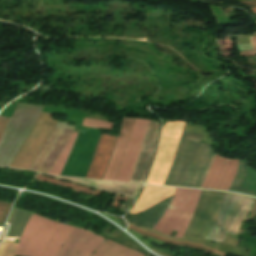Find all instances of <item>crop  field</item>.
<instances>
[{
    "label": "crop field",
    "instance_id": "obj_8",
    "mask_svg": "<svg viewBox=\"0 0 256 256\" xmlns=\"http://www.w3.org/2000/svg\"><path fill=\"white\" fill-rule=\"evenodd\" d=\"M103 240L104 237L76 228L57 256H91Z\"/></svg>",
    "mask_w": 256,
    "mask_h": 256
},
{
    "label": "crop field",
    "instance_id": "obj_16",
    "mask_svg": "<svg viewBox=\"0 0 256 256\" xmlns=\"http://www.w3.org/2000/svg\"><path fill=\"white\" fill-rule=\"evenodd\" d=\"M112 125L113 124L107 123L105 121L89 119V118H85L82 123V126L105 129V130H111Z\"/></svg>",
    "mask_w": 256,
    "mask_h": 256
},
{
    "label": "crop field",
    "instance_id": "obj_3",
    "mask_svg": "<svg viewBox=\"0 0 256 256\" xmlns=\"http://www.w3.org/2000/svg\"><path fill=\"white\" fill-rule=\"evenodd\" d=\"M184 124L185 123L181 122H167L163 127L158 154L148 179V184H163L170 168Z\"/></svg>",
    "mask_w": 256,
    "mask_h": 256
},
{
    "label": "crop field",
    "instance_id": "obj_11",
    "mask_svg": "<svg viewBox=\"0 0 256 256\" xmlns=\"http://www.w3.org/2000/svg\"><path fill=\"white\" fill-rule=\"evenodd\" d=\"M176 188L146 186L130 214H137L174 194Z\"/></svg>",
    "mask_w": 256,
    "mask_h": 256
},
{
    "label": "crop field",
    "instance_id": "obj_6",
    "mask_svg": "<svg viewBox=\"0 0 256 256\" xmlns=\"http://www.w3.org/2000/svg\"><path fill=\"white\" fill-rule=\"evenodd\" d=\"M238 161L216 155L200 188L228 190L235 178Z\"/></svg>",
    "mask_w": 256,
    "mask_h": 256
},
{
    "label": "crop field",
    "instance_id": "obj_21",
    "mask_svg": "<svg viewBox=\"0 0 256 256\" xmlns=\"http://www.w3.org/2000/svg\"><path fill=\"white\" fill-rule=\"evenodd\" d=\"M253 49H256V36L251 37Z\"/></svg>",
    "mask_w": 256,
    "mask_h": 256
},
{
    "label": "crop field",
    "instance_id": "obj_15",
    "mask_svg": "<svg viewBox=\"0 0 256 256\" xmlns=\"http://www.w3.org/2000/svg\"><path fill=\"white\" fill-rule=\"evenodd\" d=\"M36 179L51 182V183H54V184H57V185H60V186L66 187V188H70V189H73V190H76V191L93 194V195H96V196H101V194H102L101 191H96V190L83 188V187H80V186H77V185H74V184L66 183V182H63V181H59V180H56V179H52V178H48V177H44V176H40V175H37Z\"/></svg>",
    "mask_w": 256,
    "mask_h": 256
},
{
    "label": "crop field",
    "instance_id": "obj_1",
    "mask_svg": "<svg viewBox=\"0 0 256 256\" xmlns=\"http://www.w3.org/2000/svg\"><path fill=\"white\" fill-rule=\"evenodd\" d=\"M73 229L32 214L23 229L15 255L56 256Z\"/></svg>",
    "mask_w": 256,
    "mask_h": 256
},
{
    "label": "crop field",
    "instance_id": "obj_12",
    "mask_svg": "<svg viewBox=\"0 0 256 256\" xmlns=\"http://www.w3.org/2000/svg\"><path fill=\"white\" fill-rule=\"evenodd\" d=\"M92 256H145L106 239Z\"/></svg>",
    "mask_w": 256,
    "mask_h": 256
},
{
    "label": "crop field",
    "instance_id": "obj_7",
    "mask_svg": "<svg viewBox=\"0 0 256 256\" xmlns=\"http://www.w3.org/2000/svg\"><path fill=\"white\" fill-rule=\"evenodd\" d=\"M147 120L136 119L131 137L125 152L117 181L129 182L138 160L146 129Z\"/></svg>",
    "mask_w": 256,
    "mask_h": 256
},
{
    "label": "crop field",
    "instance_id": "obj_9",
    "mask_svg": "<svg viewBox=\"0 0 256 256\" xmlns=\"http://www.w3.org/2000/svg\"><path fill=\"white\" fill-rule=\"evenodd\" d=\"M115 136L101 134L94 156L85 178L102 180L108 161L110 159L115 141Z\"/></svg>",
    "mask_w": 256,
    "mask_h": 256
},
{
    "label": "crop field",
    "instance_id": "obj_2",
    "mask_svg": "<svg viewBox=\"0 0 256 256\" xmlns=\"http://www.w3.org/2000/svg\"><path fill=\"white\" fill-rule=\"evenodd\" d=\"M199 193L200 190L178 188L155 229L167 235L175 230V237H182L195 210Z\"/></svg>",
    "mask_w": 256,
    "mask_h": 256
},
{
    "label": "crop field",
    "instance_id": "obj_22",
    "mask_svg": "<svg viewBox=\"0 0 256 256\" xmlns=\"http://www.w3.org/2000/svg\"><path fill=\"white\" fill-rule=\"evenodd\" d=\"M252 10H253L254 14H256V8H252Z\"/></svg>",
    "mask_w": 256,
    "mask_h": 256
},
{
    "label": "crop field",
    "instance_id": "obj_5",
    "mask_svg": "<svg viewBox=\"0 0 256 256\" xmlns=\"http://www.w3.org/2000/svg\"><path fill=\"white\" fill-rule=\"evenodd\" d=\"M74 128L75 127L68 126L67 123L58 122L45 145L35 158L30 170L48 174Z\"/></svg>",
    "mask_w": 256,
    "mask_h": 256
},
{
    "label": "crop field",
    "instance_id": "obj_19",
    "mask_svg": "<svg viewBox=\"0 0 256 256\" xmlns=\"http://www.w3.org/2000/svg\"><path fill=\"white\" fill-rule=\"evenodd\" d=\"M241 57L256 56V50L239 52Z\"/></svg>",
    "mask_w": 256,
    "mask_h": 256
},
{
    "label": "crop field",
    "instance_id": "obj_4",
    "mask_svg": "<svg viewBox=\"0 0 256 256\" xmlns=\"http://www.w3.org/2000/svg\"><path fill=\"white\" fill-rule=\"evenodd\" d=\"M225 194L201 190L199 202L184 236L205 237L214 224Z\"/></svg>",
    "mask_w": 256,
    "mask_h": 256
},
{
    "label": "crop field",
    "instance_id": "obj_14",
    "mask_svg": "<svg viewBox=\"0 0 256 256\" xmlns=\"http://www.w3.org/2000/svg\"><path fill=\"white\" fill-rule=\"evenodd\" d=\"M77 133L73 132V134L71 135V137L69 138V140L67 141L60 157L58 158V160L56 161V163L54 164L53 168L51 169V171L49 172L50 175H59L67 158L68 155L74 145V142L76 140L77 137Z\"/></svg>",
    "mask_w": 256,
    "mask_h": 256
},
{
    "label": "crop field",
    "instance_id": "obj_17",
    "mask_svg": "<svg viewBox=\"0 0 256 256\" xmlns=\"http://www.w3.org/2000/svg\"><path fill=\"white\" fill-rule=\"evenodd\" d=\"M18 244L4 242L0 244V256H14Z\"/></svg>",
    "mask_w": 256,
    "mask_h": 256
},
{
    "label": "crop field",
    "instance_id": "obj_10",
    "mask_svg": "<svg viewBox=\"0 0 256 256\" xmlns=\"http://www.w3.org/2000/svg\"><path fill=\"white\" fill-rule=\"evenodd\" d=\"M135 119L124 118L120 130V135L117 138L114 151L112 153L111 159L107 166L105 176L103 180L116 181L119 168L124 156V152L130 137V133L133 127Z\"/></svg>",
    "mask_w": 256,
    "mask_h": 256
},
{
    "label": "crop field",
    "instance_id": "obj_20",
    "mask_svg": "<svg viewBox=\"0 0 256 256\" xmlns=\"http://www.w3.org/2000/svg\"><path fill=\"white\" fill-rule=\"evenodd\" d=\"M9 119L0 117V136Z\"/></svg>",
    "mask_w": 256,
    "mask_h": 256
},
{
    "label": "crop field",
    "instance_id": "obj_23",
    "mask_svg": "<svg viewBox=\"0 0 256 256\" xmlns=\"http://www.w3.org/2000/svg\"><path fill=\"white\" fill-rule=\"evenodd\" d=\"M256 35V34H255Z\"/></svg>",
    "mask_w": 256,
    "mask_h": 256
},
{
    "label": "crop field",
    "instance_id": "obj_13",
    "mask_svg": "<svg viewBox=\"0 0 256 256\" xmlns=\"http://www.w3.org/2000/svg\"><path fill=\"white\" fill-rule=\"evenodd\" d=\"M128 228H130L131 230L139 233V234H143V235H147V236H151V237H155V238H158L160 240H163V241H166L168 243H173V244H178V245H183V246H190V247H195L197 249H200L202 251H205V252H208L210 254H213L215 256H225V254L217 251V250H214L212 248H209L207 246H204V245H201L199 243H189V242H176V241H172V240H169L167 238H164V237H161L159 235H156V234H152V233H149V232H146V231H143L135 226H132L130 224H128Z\"/></svg>",
    "mask_w": 256,
    "mask_h": 256
},
{
    "label": "crop field",
    "instance_id": "obj_18",
    "mask_svg": "<svg viewBox=\"0 0 256 256\" xmlns=\"http://www.w3.org/2000/svg\"><path fill=\"white\" fill-rule=\"evenodd\" d=\"M120 200H123L126 202L127 197H120V196L115 195L112 205L118 207V205H119L118 201H120Z\"/></svg>",
    "mask_w": 256,
    "mask_h": 256
}]
</instances>
